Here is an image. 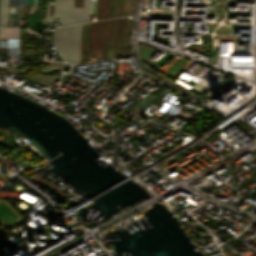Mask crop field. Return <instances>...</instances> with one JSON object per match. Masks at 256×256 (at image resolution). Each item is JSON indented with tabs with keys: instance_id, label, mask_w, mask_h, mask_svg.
Returning a JSON list of instances; mask_svg holds the SVG:
<instances>
[{
	"instance_id": "crop-field-2",
	"label": "crop field",
	"mask_w": 256,
	"mask_h": 256,
	"mask_svg": "<svg viewBox=\"0 0 256 256\" xmlns=\"http://www.w3.org/2000/svg\"><path fill=\"white\" fill-rule=\"evenodd\" d=\"M49 5L47 2L46 19L53 23V18H58L61 26L71 25L73 16V0H54V12L49 18ZM89 21V0L83 1V8H74L73 24Z\"/></svg>"
},
{
	"instance_id": "crop-field-1",
	"label": "crop field",
	"mask_w": 256,
	"mask_h": 256,
	"mask_svg": "<svg viewBox=\"0 0 256 256\" xmlns=\"http://www.w3.org/2000/svg\"><path fill=\"white\" fill-rule=\"evenodd\" d=\"M80 26H69L53 30V44L64 60L79 63Z\"/></svg>"
},
{
	"instance_id": "crop-field-3",
	"label": "crop field",
	"mask_w": 256,
	"mask_h": 256,
	"mask_svg": "<svg viewBox=\"0 0 256 256\" xmlns=\"http://www.w3.org/2000/svg\"><path fill=\"white\" fill-rule=\"evenodd\" d=\"M38 16H39V10H35L32 14L29 15V28L39 33L40 31L45 29L47 25L44 24L46 23L44 21L42 23L38 22L39 21V20L37 21Z\"/></svg>"
},
{
	"instance_id": "crop-field-4",
	"label": "crop field",
	"mask_w": 256,
	"mask_h": 256,
	"mask_svg": "<svg viewBox=\"0 0 256 256\" xmlns=\"http://www.w3.org/2000/svg\"><path fill=\"white\" fill-rule=\"evenodd\" d=\"M8 8L9 0H0V26H7Z\"/></svg>"
}]
</instances>
